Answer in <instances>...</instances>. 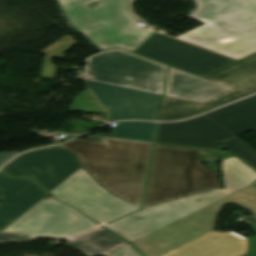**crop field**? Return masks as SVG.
I'll use <instances>...</instances> for the list:
<instances>
[{
  "mask_svg": "<svg viewBox=\"0 0 256 256\" xmlns=\"http://www.w3.org/2000/svg\"><path fill=\"white\" fill-rule=\"evenodd\" d=\"M153 144L103 138L59 145L77 154L85 171L111 194L140 208Z\"/></svg>",
  "mask_w": 256,
  "mask_h": 256,
  "instance_id": "8a807250",
  "label": "crop field"
},
{
  "mask_svg": "<svg viewBox=\"0 0 256 256\" xmlns=\"http://www.w3.org/2000/svg\"><path fill=\"white\" fill-rule=\"evenodd\" d=\"M234 156L228 151L155 144L143 208L221 187L218 173L205 168L201 156Z\"/></svg>",
  "mask_w": 256,
  "mask_h": 256,
  "instance_id": "ac0d7876",
  "label": "crop field"
},
{
  "mask_svg": "<svg viewBox=\"0 0 256 256\" xmlns=\"http://www.w3.org/2000/svg\"><path fill=\"white\" fill-rule=\"evenodd\" d=\"M189 16L206 23L176 38L241 58L256 51V0H195Z\"/></svg>",
  "mask_w": 256,
  "mask_h": 256,
  "instance_id": "34b2d1b8",
  "label": "crop field"
},
{
  "mask_svg": "<svg viewBox=\"0 0 256 256\" xmlns=\"http://www.w3.org/2000/svg\"><path fill=\"white\" fill-rule=\"evenodd\" d=\"M225 189L219 188L138 211L106 225L132 242L193 211L216 202L256 180V172L235 156L222 161Z\"/></svg>",
  "mask_w": 256,
  "mask_h": 256,
  "instance_id": "412701ff",
  "label": "crop field"
},
{
  "mask_svg": "<svg viewBox=\"0 0 256 256\" xmlns=\"http://www.w3.org/2000/svg\"><path fill=\"white\" fill-rule=\"evenodd\" d=\"M82 0L61 4L68 19L100 49L119 47L135 51L152 33L148 29H137L135 18L128 8L127 0H99L98 9L85 7Z\"/></svg>",
  "mask_w": 256,
  "mask_h": 256,
  "instance_id": "f4fd0767",
  "label": "crop field"
},
{
  "mask_svg": "<svg viewBox=\"0 0 256 256\" xmlns=\"http://www.w3.org/2000/svg\"><path fill=\"white\" fill-rule=\"evenodd\" d=\"M225 204L250 210L256 218V187L246 188L165 226L132 244L146 256H162L187 242L214 230L215 218Z\"/></svg>",
  "mask_w": 256,
  "mask_h": 256,
  "instance_id": "dd49c442",
  "label": "crop field"
},
{
  "mask_svg": "<svg viewBox=\"0 0 256 256\" xmlns=\"http://www.w3.org/2000/svg\"><path fill=\"white\" fill-rule=\"evenodd\" d=\"M166 69L161 64L113 49L89 57L83 76L90 81L162 95Z\"/></svg>",
  "mask_w": 256,
  "mask_h": 256,
  "instance_id": "e52e79f7",
  "label": "crop field"
},
{
  "mask_svg": "<svg viewBox=\"0 0 256 256\" xmlns=\"http://www.w3.org/2000/svg\"><path fill=\"white\" fill-rule=\"evenodd\" d=\"M97 224L72 207L42 199L11 225L0 231V242L27 241L36 236L66 238Z\"/></svg>",
  "mask_w": 256,
  "mask_h": 256,
  "instance_id": "d8731c3e",
  "label": "crop field"
},
{
  "mask_svg": "<svg viewBox=\"0 0 256 256\" xmlns=\"http://www.w3.org/2000/svg\"><path fill=\"white\" fill-rule=\"evenodd\" d=\"M50 194L75 206L100 224L118 219L139 209L109 194L82 167Z\"/></svg>",
  "mask_w": 256,
  "mask_h": 256,
  "instance_id": "5a996713",
  "label": "crop field"
},
{
  "mask_svg": "<svg viewBox=\"0 0 256 256\" xmlns=\"http://www.w3.org/2000/svg\"><path fill=\"white\" fill-rule=\"evenodd\" d=\"M80 167L76 154L55 146L26 152L0 171L31 179L50 192Z\"/></svg>",
  "mask_w": 256,
  "mask_h": 256,
  "instance_id": "3316defc",
  "label": "crop field"
},
{
  "mask_svg": "<svg viewBox=\"0 0 256 256\" xmlns=\"http://www.w3.org/2000/svg\"><path fill=\"white\" fill-rule=\"evenodd\" d=\"M135 53L199 76L236 61L157 32Z\"/></svg>",
  "mask_w": 256,
  "mask_h": 256,
  "instance_id": "28ad6ade",
  "label": "crop field"
},
{
  "mask_svg": "<svg viewBox=\"0 0 256 256\" xmlns=\"http://www.w3.org/2000/svg\"><path fill=\"white\" fill-rule=\"evenodd\" d=\"M108 112L107 121L144 119L156 121L162 96L85 81Z\"/></svg>",
  "mask_w": 256,
  "mask_h": 256,
  "instance_id": "d1516ede",
  "label": "crop field"
},
{
  "mask_svg": "<svg viewBox=\"0 0 256 256\" xmlns=\"http://www.w3.org/2000/svg\"><path fill=\"white\" fill-rule=\"evenodd\" d=\"M194 126L219 142L256 127V101L249 97Z\"/></svg>",
  "mask_w": 256,
  "mask_h": 256,
  "instance_id": "22f410ed",
  "label": "crop field"
},
{
  "mask_svg": "<svg viewBox=\"0 0 256 256\" xmlns=\"http://www.w3.org/2000/svg\"><path fill=\"white\" fill-rule=\"evenodd\" d=\"M47 194L33 182L12 179L0 173V230L6 228Z\"/></svg>",
  "mask_w": 256,
  "mask_h": 256,
  "instance_id": "cbeb9de0",
  "label": "crop field"
},
{
  "mask_svg": "<svg viewBox=\"0 0 256 256\" xmlns=\"http://www.w3.org/2000/svg\"><path fill=\"white\" fill-rule=\"evenodd\" d=\"M204 78L234 88L210 100L217 106L256 93V54L208 74Z\"/></svg>",
  "mask_w": 256,
  "mask_h": 256,
  "instance_id": "5142ce71",
  "label": "crop field"
},
{
  "mask_svg": "<svg viewBox=\"0 0 256 256\" xmlns=\"http://www.w3.org/2000/svg\"><path fill=\"white\" fill-rule=\"evenodd\" d=\"M232 88L170 68L164 95L203 103Z\"/></svg>",
  "mask_w": 256,
  "mask_h": 256,
  "instance_id": "d9b57169",
  "label": "crop field"
},
{
  "mask_svg": "<svg viewBox=\"0 0 256 256\" xmlns=\"http://www.w3.org/2000/svg\"><path fill=\"white\" fill-rule=\"evenodd\" d=\"M247 238L234 232L209 233L166 256H241L246 253Z\"/></svg>",
  "mask_w": 256,
  "mask_h": 256,
  "instance_id": "733c2abd",
  "label": "crop field"
},
{
  "mask_svg": "<svg viewBox=\"0 0 256 256\" xmlns=\"http://www.w3.org/2000/svg\"><path fill=\"white\" fill-rule=\"evenodd\" d=\"M219 111L221 109L179 123H159L155 142L224 149L217 142L193 127Z\"/></svg>",
  "mask_w": 256,
  "mask_h": 256,
  "instance_id": "4a817a6b",
  "label": "crop field"
},
{
  "mask_svg": "<svg viewBox=\"0 0 256 256\" xmlns=\"http://www.w3.org/2000/svg\"><path fill=\"white\" fill-rule=\"evenodd\" d=\"M127 243L100 226L72 238L68 241V246L81 251L87 256H95L97 254L107 256L113 250Z\"/></svg>",
  "mask_w": 256,
  "mask_h": 256,
  "instance_id": "bc2a9ffb",
  "label": "crop field"
},
{
  "mask_svg": "<svg viewBox=\"0 0 256 256\" xmlns=\"http://www.w3.org/2000/svg\"><path fill=\"white\" fill-rule=\"evenodd\" d=\"M216 107L211 102L198 104L164 96L159 121L181 120Z\"/></svg>",
  "mask_w": 256,
  "mask_h": 256,
  "instance_id": "214f88e0",
  "label": "crop field"
},
{
  "mask_svg": "<svg viewBox=\"0 0 256 256\" xmlns=\"http://www.w3.org/2000/svg\"><path fill=\"white\" fill-rule=\"evenodd\" d=\"M155 126L156 123L152 122H121L117 123L113 135L97 134L96 136L153 142Z\"/></svg>",
  "mask_w": 256,
  "mask_h": 256,
  "instance_id": "92a150f3",
  "label": "crop field"
},
{
  "mask_svg": "<svg viewBox=\"0 0 256 256\" xmlns=\"http://www.w3.org/2000/svg\"><path fill=\"white\" fill-rule=\"evenodd\" d=\"M75 44H77V42L68 34L43 51L39 52L41 54H45L41 75L46 78H55L56 66L52 63V58L56 57L63 59L65 52L70 49L71 45Z\"/></svg>",
  "mask_w": 256,
  "mask_h": 256,
  "instance_id": "dafd665d",
  "label": "crop field"
},
{
  "mask_svg": "<svg viewBox=\"0 0 256 256\" xmlns=\"http://www.w3.org/2000/svg\"><path fill=\"white\" fill-rule=\"evenodd\" d=\"M69 111L104 113L103 109L88 89L74 98L73 104Z\"/></svg>",
  "mask_w": 256,
  "mask_h": 256,
  "instance_id": "00972430",
  "label": "crop field"
},
{
  "mask_svg": "<svg viewBox=\"0 0 256 256\" xmlns=\"http://www.w3.org/2000/svg\"><path fill=\"white\" fill-rule=\"evenodd\" d=\"M225 147L231 150L233 153L238 155L248 164L256 169V152L245 145L243 142L238 140L236 137L222 142Z\"/></svg>",
  "mask_w": 256,
  "mask_h": 256,
  "instance_id": "a9b5d70f",
  "label": "crop field"
},
{
  "mask_svg": "<svg viewBox=\"0 0 256 256\" xmlns=\"http://www.w3.org/2000/svg\"><path fill=\"white\" fill-rule=\"evenodd\" d=\"M108 256H142V255L138 251H136L130 244H127L113 251Z\"/></svg>",
  "mask_w": 256,
  "mask_h": 256,
  "instance_id": "4177f3b9",
  "label": "crop field"
},
{
  "mask_svg": "<svg viewBox=\"0 0 256 256\" xmlns=\"http://www.w3.org/2000/svg\"><path fill=\"white\" fill-rule=\"evenodd\" d=\"M16 154H17L16 152H1L0 153V166Z\"/></svg>",
  "mask_w": 256,
  "mask_h": 256,
  "instance_id": "730fd06b",
  "label": "crop field"
},
{
  "mask_svg": "<svg viewBox=\"0 0 256 256\" xmlns=\"http://www.w3.org/2000/svg\"><path fill=\"white\" fill-rule=\"evenodd\" d=\"M59 3H63V2H69V1H76V0H58Z\"/></svg>",
  "mask_w": 256,
  "mask_h": 256,
  "instance_id": "eef30255",
  "label": "crop field"
},
{
  "mask_svg": "<svg viewBox=\"0 0 256 256\" xmlns=\"http://www.w3.org/2000/svg\"><path fill=\"white\" fill-rule=\"evenodd\" d=\"M256 100V95L252 96Z\"/></svg>",
  "mask_w": 256,
  "mask_h": 256,
  "instance_id": "ae1a2a85",
  "label": "crop field"
}]
</instances>
